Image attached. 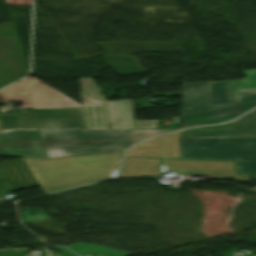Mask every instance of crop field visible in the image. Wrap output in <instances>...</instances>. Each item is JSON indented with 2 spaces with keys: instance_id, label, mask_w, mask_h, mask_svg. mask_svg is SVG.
Listing matches in <instances>:
<instances>
[{
  "instance_id": "crop-field-4",
  "label": "crop field",
  "mask_w": 256,
  "mask_h": 256,
  "mask_svg": "<svg viewBox=\"0 0 256 256\" xmlns=\"http://www.w3.org/2000/svg\"><path fill=\"white\" fill-rule=\"evenodd\" d=\"M241 82L212 83L210 106L256 101V71ZM209 82L183 84L182 114L208 111Z\"/></svg>"
},
{
  "instance_id": "crop-field-10",
  "label": "crop field",
  "mask_w": 256,
  "mask_h": 256,
  "mask_svg": "<svg viewBox=\"0 0 256 256\" xmlns=\"http://www.w3.org/2000/svg\"><path fill=\"white\" fill-rule=\"evenodd\" d=\"M110 129H156L158 120L134 121L132 99L107 101Z\"/></svg>"
},
{
  "instance_id": "crop-field-22",
  "label": "crop field",
  "mask_w": 256,
  "mask_h": 256,
  "mask_svg": "<svg viewBox=\"0 0 256 256\" xmlns=\"http://www.w3.org/2000/svg\"><path fill=\"white\" fill-rule=\"evenodd\" d=\"M254 191H256V188L255 189H253Z\"/></svg>"
},
{
  "instance_id": "crop-field-18",
  "label": "crop field",
  "mask_w": 256,
  "mask_h": 256,
  "mask_svg": "<svg viewBox=\"0 0 256 256\" xmlns=\"http://www.w3.org/2000/svg\"><path fill=\"white\" fill-rule=\"evenodd\" d=\"M81 81V91H83L86 95L93 97L95 99H105L104 95L100 91L98 87L94 85L90 78L80 79Z\"/></svg>"
},
{
  "instance_id": "crop-field-14",
  "label": "crop field",
  "mask_w": 256,
  "mask_h": 256,
  "mask_svg": "<svg viewBox=\"0 0 256 256\" xmlns=\"http://www.w3.org/2000/svg\"><path fill=\"white\" fill-rule=\"evenodd\" d=\"M162 159L125 158L119 177L139 178L140 175H160Z\"/></svg>"
},
{
  "instance_id": "crop-field-15",
  "label": "crop field",
  "mask_w": 256,
  "mask_h": 256,
  "mask_svg": "<svg viewBox=\"0 0 256 256\" xmlns=\"http://www.w3.org/2000/svg\"><path fill=\"white\" fill-rule=\"evenodd\" d=\"M86 129H109L106 101L90 100L81 93Z\"/></svg>"
},
{
  "instance_id": "crop-field-17",
  "label": "crop field",
  "mask_w": 256,
  "mask_h": 256,
  "mask_svg": "<svg viewBox=\"0 0 256 256\" xmlns=\"http://www.w3.org/2000/svg\"><path fill=\"white\" fill-rule=\"evenodd\" d=\"M23 223H31L43 220H49L42 208L23 207L22 209Z\"/></svg>"
},
{
  "instance_id": "crop-field-11",
  "label": "crop field",
  "mask_w": 256,
  "mask_h": 256,
  "mask_svg": "<svg viewBox=\"0 0 256 256\" xmlns=\"http://www.w3.org/2000/svg\"><path fill=\"white\" fill-rule=\"evenodd\" d=\"M178 132L147 140L127 152L126 156L179 158Z\"/></svg>"
},
{
  "instance_id": "crop-field-20",
  "label": "crop field",
  "mask_w": 256,
  "mask_h": 256,
  "mask_svg": "<svg viewBox=\"0 0 256 256\" xmlns=\"http://www.w3.org/2000/svg\"><path fill=\"white\" fill-rule=\"evenodd\" d=\"M56 250H58V251L64 253V254L67 255V256H78V255L74 254L73 252H71V251H69L68 249L63 248V247L56 248Z\"/></svg>"
},
{
  "instance_id": "crop-field-6",
  "label": "crop field",
  "mask_w": 256,
  "mask_h": 256,
  "mask_svg": "<svg viewBox=\"0 0 256 256\" xmlns=\"http://www.w3.org/2000/svg\"><path fill=\"white\" fill-rule=\"evenodd\" d=\"M2 132L15 129H85L82 107L0 116Z\"/></svg>"
},
{
  "instance_id": "crop-field-23",
  "label": "crop field",
  "mask_w": 256,
  "mask_h": 256,
  "mask_svg": "<svg viewBox=\"0 0 256 256\" xmlns=\"http://www.w3.org/2000/svg\"><path fill=\"white\" fill-rule=\"evenodd\" d=\"M1 132V131H0Z\"/></svg>"
},
{
  "instance_id": "crop-field-16",
  "label": "crop field",
  "mask_w": 256,
  "mask_h": 256,
  "mask_svg": "<svg viewBox=\"0 0 256 256\" xmlns=\"http://www.w3.org/2000/svg\"><path fill=\"white\" fill-rule=\"evenodd\" d=\"M68 248L72 249L78 255H89V254H101L102 256H127L132 255L100 246H96L89 243H76Z\"/></svg>"
},
{
  "instance_id": "crop-field-3",
  "label": "crop field",
  "mask_w": 256,
  "mask_h": 256,
  "mask_svg": "<svg viewBox=\"0 0 256 256\" xmlns=\"http://www.w3.org/2000/svg\"><path fill=\"white\" fill-rule=\"evenodd\" d=\"M180 158L236 160L238 173L256 179V137L182 139Z\"/></svg>"
},
{
  "instance_id": "crop-field-21",
  "label": "crop field",
  "mask_w": 256,
  "mask_h": 256,
  "mask_svg": "<svg viewBox=\"0 0 256 256\" xmlns=\"http://www.w3.org/2000/svg\"><path fill=\"white\" fill-rule=\"evenodd\" d=\"M50 256H65V255L60 253V254H57V255H50Z\"/></svg>"
},
{
  "instance_id": "crop-field-2",
  "label": "crop field",
  "mask_w": 256,
  "mask_h": 256,
  "mask_svg": "<svg viewBox=\"0 0 256 256\" xmlns=\"http://www.w3.org/2000/svg\"><path fill=\"white\" fill-rule=\"evenodd\" d=\"M170 131L173 130H70L42 132L48 158H52L124 150L145 138Z\"/></svg>"
},
{
  "instance_id": "crop-field-19",
  "label": "crop field",
  "mask_w": 256,
  "mask_h": 256,
  "mask_svg": "<svg viewBox=\"0 0 256 256\" xmlns=\"http://www.w3.org/2000/svg\"><path fill=\"white\" fill-rule=\"evenodd\" d=\"M182 91L158 93L153 91L154 97L181 96Z\"/></svg>"
},
{
  "instance_id": "crop-field-5",
  "label": "crop field",
  "mask_w": 256,
  "mask_h": 256,
  "mask_svg": "<svg viewBox=\"0 0 256 256\" xmlns=\"http://www.w3.org/2000/svg\"><path fill=\"white\" fill-rule=\"evenodd\" d=\"M29 77L19 81L21 84L17 82L0 91L1 102L22 101L23 106L20 108H35L29 112L80 106L39 80Z\"/></svg>"
},
{
  "instance_id": "crop-field-8",
  "label": "crop field",
  "mask_w": 256,
  "mask_h": 256,
  "mask_svg": "<svg viewBox=\"0 0 256 256\" xmlns=\"http://www.w3.org/2000/svg\"><path fill=\"white\" fill-rule=\"evenodd\" d=\"M0 155L47 158L42 132L0 133Z\"/></svg>"
},
{
  "instance_id": "crop-field-1",
  "label": "crop field",
  "mask_w": 256,
  "mask_h": 256,
  "mask_svg": "<svg viewBox=\"0 0 256 256\" xmlns=\"http://www.w3.org/2000/svg\"><path fill=\"white\" fill-rule=\"evenodd\" d=\"M120 153L24 160L38 184L48 193L114 176L120 162Z\"/></svg>"
},
{
  "instance_id": "crop-field-9",
  "label": "crop field",
  "mask_w": 256,
  "mask_h": 256,
  "mask_svg": "<svg viewBox=\"0 0 256 256\" xmlns=\"http://www.w3.org/2000/svg\"><path fill=\"white\" fill-rule=\"evenodd\" d=\"M249 136H256V110L229 124L184 131L180 138Z\"/></svg>"
},
{
  "instance_id": "crop-field-7",
  "label": "crop field",
  "mask_w": 256,
  "mask_h": 256,
  "mask_svg": "<svg viewBox=\"0 0 256 256\" xmlns=\"http://www.w3.org/2000/svg\"><path fill=\"white\" fill-rule=\"evenodd\" d=\"M169 172L208 175V178L236 179L237 182L250 180V176L235 174V162L163 159L161 173Z\"/></svg>"
},
{
  "instance_id": "crop-field-13",
  "label": "crop field",
  "mask_w": 256,
  "mask_h": 256,
  "mask_svg": "<svg viewBox=\"0 0 256 256\" xmlns=\"http://www.w3.org/2000/svg\"><path fill=\"white\" fill-rule=\"evenodd\" d=\"M1 180L7 181L12 192L37 185L36 180L22 158L0 164Z\"/></svg>"
},
{
  "instance_id": "crop-field-12",
  "label": "crop field",
  "mask_w": 256,
  "mask_h": 256,
  "mask_svg": "<svg viewBox=\"0 0 256 256\" xmlns=\"http://www.w3.org/2000/svg\"><path fill=\"white\" fill-rule=\"evenodd\" d=\"M256 106V103L210 107L209 113L182 115L183 128L228 121Z\"/></svg>"
}]
</instances>
